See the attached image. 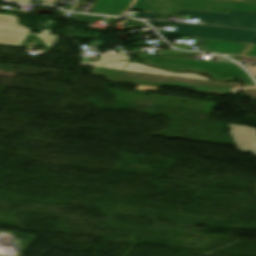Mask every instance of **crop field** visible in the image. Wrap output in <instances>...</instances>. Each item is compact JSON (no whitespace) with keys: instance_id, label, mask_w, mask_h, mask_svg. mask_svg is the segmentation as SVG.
<instances>
[{"instance_id":"8a807250","label":"crop field","mask_w":256,"mask_h":256,"mask_svg":"<svg viewBox=\"0 0 256 256\" xmlns=\"http://www.w3.org/2000/svg\"><path fill=\"white\" fill-rule=\"evenodd\" d=\"M95 75L105 76L108 81L138 85L136 90L158 92L162 85L186 87L195 92L225 96L233 90L239 89V84H216L213 82L164 77L148 74H140L128 71L94 68Z\"/></svg>"},{"instance_id":"ac0d7876","label":"crop field","mask_w":256,"mask_h":256,"mask_svg":"<svg viewBox=\"0 0 256 256\" xmlns=\"http://www.w3.org/2000/svg\"><path fill=\"white\" fill-rule=\"evenodd\" d=\"M180 9L228 14L230 10L256 12V4L220 0H136L132 10L176 15Z\"/></svg>"},{"instance_id":"34b2d1b8","label":"crop field","mask_w":256,"mask_h":256,"mask_svg":"<svg viewBox=\"0 0 256 256\" xmlns=\"http://www.w3.org/2000/svg\"><path fill=\"white\" fill-rule=\"evenodd\" d=\"M145 63L175 71L196 70L211 75L215 81H224L229 78H239L245 85L255 86L247 74L236 64L199 62L169 58H149Z\"/></svg>"},{"instance_id":"412701ff","label":"crop field","mask_w":256,"mask_h":256,"mask_svg":"<svg viewBox=\"0 0 256 256\" xmlns=\"http://www.w3.org/2000/svg\"><path fill=\"white\" fill-rule=\"evenodd\" d=\"M155 25H171L178 26L176 32L159 31L162 36L165 35H182V36H195L202 38L256 43V31L254 30H243V29H229L159 21H148Z\"/></svg>"},{"instance_id":"f4fd0767","label":"crop field","mask_w":256,"mask_h":256,"mask_svg":"<svg viewBox=\"0 0 256 256\" xmlns=\"http://www.w3.org/2000/svg\"><path fill=\"white\" fill-rule=\"evenodd\" d=\"M176 16L203 19L206 24L256 29V13L231 11L229 15L180 10Z\"/></svg>"},{"instance_id":"dd49c442","label":"crop field","mask_w":256,"mask_h":256,"mask_svg":"<svg viewBox=\"0 0 256 256\" xmlns=\"http://www.w3.org/2000/svg\"><path fill=\"white\" fill-rule=\"evenodd\" d=\"M232 129L229 132L240 152H251L256 156V129L229 125Z\"/></svg>"},{"instance_id":"e52e79f7","label":"crop field","mask_w":256,"mask_h":256,"mask_svg":"<svg viewBox=\"0 0 256 256\" xmlns=\"http://www.w3.org/2000/svg\"><path fill=\"white\" fill-rule=\"evenodd\" d=\"M191 38L205 41L200 51H213L218 53H231L235 55H242L246 48L250 45L247 43L210 40L195 37Z\"/></svg>"},{"instance_id":"d8731c3e","label":"crop field","mask_w":256,"mask_h":256,"mask_svg":"<svg viewBox=\"0 0 256 256\" xmlns=\"http://www.w3.org/2000/svg\"><path fill=\"white\" fill-rule=\"evenodd\" d=\"M132 2L133 0H98L92 13L122 16Z\"/></svg>"},{"instance_id":"5a996713","label":"crop field","mask_w":256,"mask_h":256,"mask_svg":"<svg viewBox=\"0 0 256 256\" xmlns=\"http://www.w3.org/2000/svg\"><path fill=\"white\" fill-rule=\"evenodd\" d=\"M106 17L102 16H91V15H81L77 14L73 17L72 20L80 21L82 23H93L96 20L104 21Z\"/></svg>"},{"instance_id":"3316defc","label":"crop field","mask_w":256,"mask_h":256,"mask_svg":"<svg viewBox=\"0 0 256 256\" xmlns=\"http://www.w3.org/2000/svg\"><path fill=\"white\" fill-rule=\"evenodd\" d=\"M245 56L256 57V44L250 46Z\"/></svg>"},{"instance_id":"28ad6ade","label":"crop field","mask_w":256,"mask_h":256,"mask_svg":"<svg viewBox=\"0 0 256 256\" xmlns=\"http://www.w3.org/2000/svg\"><path fill=\"white\" fill-rule=\"evenodd\" d=\"M174 47L179 48V49H183V50H187L192 48V46H188V45H184V44H179V43H171Z\"/></svg>"},{"instance_id":"d1516ede","label":"crop field","mask_w":256,"mask_h":256,"mask_svg":"<svg viewBox=\"0 0 256 256\" xmlns=\"http://www.w3.org/2000/svg\"><path fill=\"white\" fill-rule=\"evenodd\" d=\"M163 15L148 13L145 18L160 19Z\"/></svg>"},{"instance_id":"22f410ed","label":"crop field","mask_w":256,"mask_h":256,"mask_svg":"<svg viewBox=\"0 0 256 256\" xmlns=\"http://www.w3.org/2000/svg\"><path fill=\"white\" fill-rule=\"evenodd\" d=\"M118 19H119V18L108 17L107 20L105 21V23L112 24V23H114L115 21H117Z\"/></svg>"},{"instance_id":"cbeb9de0","label":"crop field","mask_w":256,"mask_h":256,"mask_svg":"<svg viewBox=\"0 0 256 256\" xmlns=\"http://www.w3.org/2000/svg\"><path fill=\"white\" fill-rule=\"evenodd\" d=\"M244 92L252 95L253 98L256 100V90H244Z\"/></svg>"},{"instance_id":"5142ce71","label":"crop field","mask_w":256,"mask_h":256,"mask_svg":"<svg viewBox=\"0 0 256 256\" xmlns=\"http://www.w3.org/2000/svg\"><path fill=\"white\" fill-rule=\"evenodd\" d=\"M254 76H256V67L245 66Z\"/></svg>"},{"instance_id":"d9b57169","label":"crop field","mask_w":256,"mask_h":256,"mask_svg":"<svg viewBox=\"0 0 256 256\" xmlns=\"http://www.w3.org/2000/svg\"><path fill=\"white\" fill-rule=\"evenodd\" d=\"M10 1L25 3V4H30V2H31V0H10Z\"/></svg>"},{"instance_id":"733c2abd","label":"crop field","mask_w":256,"mask_h":256,"mask_svg":"<svg viewBox=\"0 0 256 256\" xmlns=\"http://www.w3.org/2000/svg\"><path fill=\"white\" fill-rule=\"evenodd\" d=\"M233 1H243V2H253V3H256V0H233Z\"/></svg>"},{"instance_id":"4a817a6b","label":"crop field","mask_w":256,"mask_h":256,"mask_svg":"<svg viewBox=\"0 0 256 256\" xmlns=\"http://www.w3.org/2000/svg\"><path fill=\"white\" fill-rule=\"evenodd\" d=\"M243 88H254V87H250V86H244Z\"/></svg>"}]
</instances>
